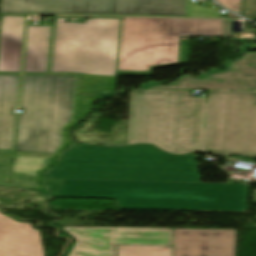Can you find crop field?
Returning a JSON list of instances; mask_svg holds the SVG:
<instances>
[{"mask_svg": "<svg viewBox=\"0 0 256 256\" xmlns=\"http://www.w3.org/2000/svg\"><path fill=\"white\" fill-rule=\"evenodd\" d=\"M117 244L173 245V229L116 228Z\"/></svg>", "mask_w": 256, "mask_h": 256, "instance_id": "crop-field-16", "label": "crop field"}, {"mask_svg": "<svg viewBox=\"0 0 256 256\" xmlns=\"http://www.w3.org/2000/svg\"><path fill=\"white\" fill-rule=\"evenodd\" d=\"M50 27L29 26L24 72H46Z\"/></svg>", "mask_w": 256, "mask_h": 256, "instance_id": "crop-field-15", "label": "crop field"}, {"mask_svg": "<svg viewBox=\"0 0 256 256\" xmlns=\"http://www.w3.org/2000/svg\"><path fill=\"white\" fill-rule=\"evenodd\" d=\"M78 76L24 75L13 187L42 191L43 174L72 145L69 129L84 118L100 96L77 95Z\"/></svg>", "mask_w": 256, "mask_h": 256, "instance_id": "crop-field-1", "label": "crop field"}, {"mask_svg": "<svg viewBox=\"0 0 256 256\" xmlns=\"http://www.w3.org/2000/svg\"><path fill=\"white\" fill-rule=\"evenodd\" d=\"M192 91L130 93L127 145L149 143L175 154L202 151L207 98Z\"/></svg>", "mask_w": 256, "mask_h": 256, "instance_id": "crop-field-4", "label": "crop field"}, {"mask_svg": "<svg viewBox=\"0 0 256 256\" xmlns=\"http://www.w3.org/2000/svg\"><path fill=\"white\" fill-rule=\"evenodd\" d=\"M0 256H45L40 231L0 212Z\"/></svg>", "mask_w": 256, "mask_h": 256, "instance_id": "crop-field-11", "label": "crop field"}, {"mask_svg": "<svg viewBox=\"0 0 256 256\" xmlns=\"http://www.w3.org/2000/svg\"><path fill=\"white\" fill-rule=\"evenodd\" d=\"M118 19L95 18L88 25L59 19L53 71L114 75Z\"/></svg>", "mask_w": 256, "mask_h": 256, "instance_id": "crop-field-6", "label": "crop field"}, {"mask_svg": "<svg viewBox=\"0 0 256 256\" xmlns=\"http://www.w3.org/2000/svg\"><path fill=\"white\" fill-rule=\"evenodd\" d=\"M63 229L77 239L70 256H114L115 228L63 227Z\"/></svg>", "mask_w": 256, "mask_h": 256, "instance_id": "crop-field-12", "label": "crop field"}, {"mask_svg": "<svg viewBox=\"0 0 256 256\" xmlns=\"http://www.w3.org/2000/svg\"><path fill=\"white\" fill-rule=\"evenodd\" d=\"M226 8L241 13L242 0H217ZM243 16L256 20V0H245Z\"/></svg>", "mask_w": 256, "mask_h": 256, "instance_id": "crop-field-17", "label": "crop field"}, {"mask_svg": "<svg viewBox=\"0 0 256 256\" xmlns=\"http://www.w3.org/2000/svg\"><path fill=\"white\" fill-rule=\"evenodd\" d=\"M25 16H3L0 71L19 72Z\"/></svg>", "mask_w": 256, "mask_h": 256, "instance_id": "crop-field-13", "label": "crop field"}, {"mask_svg": "<svg viewBox=\"0 0 256 256\" xmlns=\"http://www.w3.org/2000/svg\"><path fill=\"white\" fill-rule=\"evenodd\" d=\"M186 0H3L2 12L185 15Z\"/></svg>", "mask_w": 256, "mask_h": 256, "instance_id": "crop-field-8", "label": "crop field"}, {"mask_svg": "<svg viewBox=\"0 0 256 256\" xmlns=\"http://www.w3.org/2000/svg\"><path fill=\"white\" fill-rule=\"evenodd\" d=\"M172 251L171 247L117 246V252L172 254Z\"/></svg>", "mask_w": 256, "mask_h": 256, "instance_id": "crop-field-18", "label": "crop field"}, {"mask_svg": "<svg viewBox=\"0 0 256 256\" xmlns=\"http://www.w3.org/2000/svg\"><path fill=\"white\" fill-rule=\"evenodd\" d=\"M237 229H174L173 256H236Z\"/></svg>", "mask_w": 256, "mask_h": 256, "instance_id": "crop-field-9", "label": "crop field"}, {"mask_svg": "<svg viewBox=\"0 0 256 256\" xmlns=\"http://www.w3.org/2000/svg\"><path fill=\"white\" fill-rule=\"evenodd\" d=\"M19 75H0V148L12 149L14 116Z\"/></svg>", "mask_w": 256, "mask_h": 256, "instance_id": "crop-field-14", "label": "crop field"}, {"mask_svg": "<svg viewBox=\"0 0 256 256\" xmlns=\"http://www.w3.org/2000/svg\"><path fill=\"white\" fill-rule=\"evenodd\" d=\"M151 88L256 90V53H249L242 60L230 63L228 72L211 74L202 79L184 76L177 85Z\"/></svg>", "mask_w": 256, "mask_h": 256, "instance_id": "crop-field-10", "label": "crop field"}, {"mask_svg": "<svg viewBox=\"0 0 256 256\" xmlns=\"http://www.w3.org/2000/svg\"><path fill=\"white\" fill-rule=\"evenodd\" d=\"M56 179L201 182L195 153L175 156L153 145L106 148L77 143L47 174Z\"/></svg>", "mask_w": 256, "mask_h": 256, "instance_id": "crop-field-3", "label": "crop field"}, {"mask_svg": "<svg viewBox=\"0 0 256 256\" xmlns=\"http://www.w3.org/2000/svg\"><path fill=\"white\" fill-rule=\"evenodd\" d=\"M188 36H223L216 19L123 17L118 75H151L152 68L187 63Z\"/></svg>", "mask_w": 256, "mask_h": 256, "instance_id": "crop-field-5", "label": "crop field"}, {"mask_svg": "<svg viewBox=\"0 0 256 256\" xmlns=\"http://www.w3.org/2000/svg\"><path fill=\"white\" fill-rule=\"evenodd\" d=\"M249 184L64 180L62 195L118 198L119 208L246 211Z\"/></svg>", "mask_w": 256, "mask_h": 256, "instance_id": "crop-field-2", "label": "crop field"}, {"mask_svg": "<svg viewBox=\"0 0 256 256\" xmlns=\"http://www.w3.org/2000/svg\"><path fill=\"white\" fill-rule=\"evenodd\" d=\"M62 182L63 180L47 179V185L53 197H63L61 196ZM74 198H78V197H74ZM116 204H117V199H116ZM117 209H118V204H117Z\"/></svg>", "mask_w": 256, "mask_h": 256, "instance_id": "crop-field-19", "label": "crop field"}, {"mask_svg": "<svg viewBox=\"0 0 256 256\" xmlns=\"http://www.w3.org/2000/svg\"><path fill=\"white\" fill-rule=\"evenodd\" d=\"M117 256H172V255L117 253Z\"/></svg>", "mask_w": 256, "mask_h": 256, "instance_id": "crop-field-20", "label": "crop field"}, {"mask_svg": "<svg viewBox=\"0 0 256 256\" xmlns=\"http://www.w3.org/2000/svg\"><path fill=\"white\" fill-rule=\"evenodd\" d=\"M203 151L256 157V92L209 91Z\"/></svg>", "mask_w": 256, "mask_h": 256, "instance_id": "crop-field-7", "label": "crop field"}]
</instances>
